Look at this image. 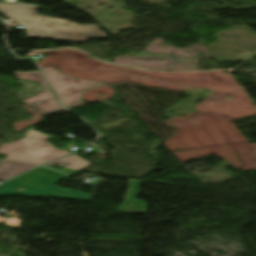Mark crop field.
I'll use <instances>...</instances> for the list:
<instances>
[{
  "mask_svg": "<svg viewBox=\"0 0 256 256\" xmlns=\"http://www.w3.org/2000/svg\"><path fill=\"white\" fill-rule=\"evenodd\" d=\"M27 140H36V141H41V140H46L51 138L48 135L42 134L40 132H35V131H27V133L25 134Z\"/></svg>",
  "mask_w": 256,
  "mask_h": 256,
  "instance_id": "5a996713",
  "label": "crop field"
},
{
  "mask_svg": "<svg viewBox=\"0 0 256 256\" xmlns=\"http://www.w3.org/2000/svg\"><path fill=\"white\" fill-rule=\"evenodd\" d=\"M73 145L65 151H61L46 141H27L26 138H23L9 145H1L0 153L8 156L5 159L40 164L67 154Z\"/></svg>",
  "mask_w": 256,
  "mask_h": 256,
  "instance_id": "34b2d1b8",
  "label": "crop field"
},
{
  "mask_svg": "<svg viewBox=\"0 0 256 256\" xmlns=\"http://www.w3.org/2000/svg\"><path fill=\"white\" fill-rule=\"evenodd\" d=\"M63 178H69V176L40 166L1 184L0 195L16 194L34 197L49 196L90 201L91 196L88 194L55 187V185Z\"/></svg>",
  "mask_w": 256,
  "mask_h": 256,
  "instance_id": "ac0d7876",
  "label": "crop field"
},
{
  "mask_svg": "<svg viewBox=\"0 0 256 256\" xmlns=\"http://www.w3.org/2000/svg\"><path fill=\"white\" fill-rule=\"evenodd\" d=\"M56 163H69L71 165H69V166H67L65 168L76 169V170H81L84 167H86L87 165H89L88 162L80 159L79 157H77L75 155L65 157L63 159L57 160V161L49 163L47 165H52V164H56Z\"/></svg>",
  "mask_w": 256,
  "mask_h": 256,
  "instance_id": "d8731c3e",
  "label": "crop field"
},
{
  "mask_svg": "<svg viewBox=\"0 0 256 256\" xmlns=\"http://www.w3.org/2000/svg\"><path fill=\"white\" fill-rule=\"evenodd\" d=\"M52 89L65 107L82 102L81 94L85 89L103 85V83L76 80L61 74L55 69H43ZM59 99V100H60Z\"/></svg>",
  "mask_w": 256,
  "mask_h": 256,
  "instance_id": "412701ff",
  "label": "crop field"
},
{
  "mask_svg": "<svg viewBox=\"0 0 256 256\" xmlns=\"http://www.w3.org/2000/svg\"><path fill=\"white\" fill-rule=\"evenodd\" d=\"M51 168L59 170V171L64 172V173H67V174H69L71 176H73L74 174H76L78 172L76 170H68V169L54 168V167H51Z\"/></svg>",
  "mask_w": 256,
  "mask_h": 256,
  "instance_id": "28ad6ade",
  "label": "crop field"
},
{
  "mask_svg": "<svg viewBox=\"0 0 256 256\" xmlns=\"http://www.w3.org/2000/svg\"><path fill=\"white\" fill-rule=\"evenodd\" d=\"M0 180L3 181L11 176H14L20 172H23L36 164L20 163L9 161L5 159H0Z\"/></svg>",
  "mask_w": 256,
  "mask_h": 256,
  "instance_id": "e52e79f7",
  "label": "crop field"
},
{
  "mask_svg": "<svg viewBox=\"0 0 256 256\" xmlns=\"http://www.w3.org/2000/svg\"><path fill=\"white\" fill-rule=\"evenodd\" d=\"M0 221L5 222L7 226H18L20 223V219H14V220H9V219H4L2 217H0Z\"/></svg>",
  "mask_w": 256,
  "mask_h": 256,
  "instance_id": "3316defc",
  "label": "crop field"
},
{
  "mask_svg": "<svg viewBox=\"0 0 256 256\" xmlns=\"http://www.w3.org/2000/svg\"><path fill=\"white\" fill-rule=\"evenodd\" d=\"M40 6L0 2V11L21 23L28 37L85 41L88 37H105L94 25H78L36 13Z\"/></svg>",
  "mask_w": 256,
  "mask_h": 256,
  "instance_id": "8a807250",
  "label": "crop field"
},
{
  "mask_svg": "<svg viewBox=\"0 0 256 256\" xmlns=\"http://www.w3.org/2000/svg\"><path fill=\"white\" fill-rule=\"evenodd\" d=\"M141 181L136 179L129 180V190L124 198V201L119 206L120 212H143L145 213L146 203L136 200L135 195L139 192L138 187Z\"/></svg>",
  "mask_w": 256,
  "mask_h": 256,
  "instance_id": "dd49c442",
  "label": "crop field"
},
{
  "mask_svg": "<svg viewBox=\"0 0 256 256\" xmlns=\"http://www.w3.org/2000/svg\"><path fill=\"white\" fill-rule=\"evenodd\" d=\"M15 74L17 78L38 82L42 85L43 88V93L37 94L29 99L24 100L23 102L33 106L43 115L61 109L60 104L51 93V91H46V83L40 71L25 73L15 72Z\"/></svg>",
  "mask_w": 256,
  "mask_h": 256,
  "instance_id": "f4fd0767",
  "label": "crop field"
}]
</instances>
